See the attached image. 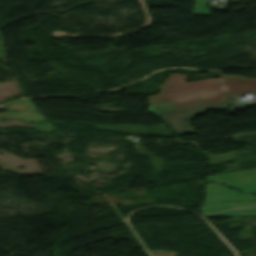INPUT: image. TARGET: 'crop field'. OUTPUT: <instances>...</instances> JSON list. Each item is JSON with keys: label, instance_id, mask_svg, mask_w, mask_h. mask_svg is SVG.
<instances>
[{"label": "crop field", "instance_id": "crop-field-1", "mask_svg": "<svg viewBox=\"0 0 256 256\" xmlns=\"http://www.w3.org/2000/svg\"><path fill=\"white\" fill-rule=\"evenodd\" d=\"M186 76L170 73L159 94L147 97L148 105L207 99L227 90L221 78L185 82Z\"/></svg>", "mask_w": 256, "mask_h": 256}, {"label": "crop field", "instance_id": "crop-field-3", "mask_svg": "<svg viewBox=\"0 0 256 256\" xmlns=\"http://www.w3.org/2000/svg\"><path fill=\"white\" fill-rule=\"evenodd\" d=\"M229 96L256 93V78H245L238 75H221Z\"/></svg>", "mask_w": 256, "mask_h": 256}, {"label": "crop field", "instance_id": "crop-field-4", "mask_svg": "<svg viewBox=\"0 0 256 256\" xmlns=\"http://www.w3.org/2000/svg\"><path fill=\"white\" fill-rule=\"evenodd\" d=\"M210 0H196L193 15H209L210 10L207 9Z\"/></svg>", "mask_w": 256, "mask_h": 256}, {"label": "crop field", "instance_id": "crop-field-2", "mask_svg": "<svg viewBox=\"0 0 256 256\" xmlns=\"http://www.w3.org/2000/svg\"><path fill=\"white\" fill-rule=\"evenodd\" d=\"M226 92L218 94L211 99L152 106L159 118L167 123L177 134L190 133V118L206 110L223 109L229 105L231 110L245 109L244 105L230 101Z\"/></svg>", "mask_w": 256, "mask_h": 256}]
</instances>
